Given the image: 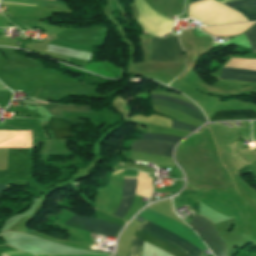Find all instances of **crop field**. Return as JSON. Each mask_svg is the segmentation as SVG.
I'll list each match as a JSON object with an SVG mask.
<instances>
[{"instance_id":"1","label":"crop field","mask_w":256,"mask_h":256,"mask_svg":"<svg viewBox=\"0 0 256 256\" xmlns=\"http://www.w3.org/2000/svg\"><path fill=\"white\" fill-rule=\"evenodd\" d=\"M137 231L146 234L152 238H155L172 248L182 252L186 256H200L203 252L197 249L196 247L192 246L185 240L181 239L177 235L155 225L152 223H149L145 221L138 229ZM135 231L133 234L134 236L150 243L153 244L167 253L171 254L172 256H184L182 253L172 249L171 247L155 240L152 239L146 235H143L139 232ZM132 237L131 243H130V248H129V253L127 256H140L141 255V250H142V244L143 241L136 238Z\"/></svg>"},{"instance_id":"2","label":"crop field","mask_w":256,"mask_h":256,"mask_svg":"<svg viewBox=\"0 0 256 256\" xmlns=\"http://www.w3.org/2000/svg\"><path fill=\"white\" fill-rule=\"evenodd\" d=\"M138 216L145 218L149 221H152L169 231L181 236L200 250L204 251L207 248L203 244V242L198 238V236L189 228L165 217L156 212H153L147 208H145Z\"/></svg>"},{"instance_id":"3","label":"crop field","mask_w":256,"mask_h":256,"mask_svg":"<svg viewBox=\"0 0 256 256\" xmlns=\"http://www.w3.org/2000/svg\"><path fill=\"white\" fill-rule=\"evenodd\" d=\"M189 224L202 237L215 256H226V245L212 223L204 217L194 215Z\"/></svg>"},{"instance_id":"4","label":"crop field","mask_w":256,"mask_h":256,"mask_svg":"<svg viewBox=\"0 0 256 256\" xmlns=\"http://www.w3.org/2000/svg\"><path fill=\"white\" fill-rule=\"evenodd\" d=\"M177 37V35H173L166 39L154 37L152 40L151 61L178 62L183 50Z\"/></svg>"},{"instance_id":"5","label":"crop field","mask_w":256,"mask_h":256,"mask_svg":"<svg viewBox=\"0 0 256 256\" xmlns=\"http://www.w3.org/2000/svg\"><path fill=\"white\" fill-rule=\"evenodd\" d=\"M65 224L87 231L101 233L113 237L115 236L117 230L122 227L95 218H82L76 215L70 218V220Z\"/></svg>"},{"instance_id":"6","label":"crop field","mask_w":256,"mask_h":256,"mask_svg":"<svg viewBox=\"0 0 256 256\" xmlns=\"http://www.w3.org/2000/svg\"><path fill=\"white\" fill-rule=\"evenodd\" d=\"M174 143L138 139L131 145L133 151L171 157V150Z\"/></svg>"},{"instance_id":"7","label":"crop field","mask_w":256,"mask_h":256,"mask_svg":"<svg viewBox=\"0 0 256 256\" xmlns=\"http://www.w3.org/2000/svg\"><path fill=\"white\" fill-rule=\"evenodd\" d=\"M48 127L54 132L55 138L70 137L75 124L64 119L50 117Z\"/></svg>"},{"instance_id":"8","label":"crop field","mask_w":256,"mask_h":256,"mask_svg":"<svg viewBox=\"0 0 256 256\" xmlns=\"http://www.w3.org/2000/svg\"><path fill=\"white\" fill-rule=\"evenodd\" d=\"M220 78L256 82V70L223 67Z\"/></svg>"},{"instance_id":"9","label":"crop field","mask_w":256,"mask_h":256,"mask_svg":"<svg viewBox=\"0 0 256 256\" xmlns=\"http://www.w3.org/2000/svg\"><path fill=\"white\" fill-rule=\"evenodd\" d=\"M256 113L252 110H233V111H216L211 120L219 119H237V118H255Z\"/></svg>"},{"instance_id":"10","label":"crop field","mask_w":256,"mask_h":256,"mask_svg":"<svg viewBox=\"0 0 256 256\" xmlns=\"http://www.w3.org/2000/svg\"><path fill=\"white\" fill-rule=\"evenodd\" d=\"M38 103V102H37ZM43 106L51 116L64 117L61 111H90L88 106H62V105H53V104H44L39 103Z\"/></svg>"},{"instance_id":"11","label":"crop field","mask_w":256,"mask_h":256,"mask_svg":"<svg viewBox=\"0 0 256 256\" xmlns=\"http://www.w3.org/2000/svg\"><path fill=\"white\" fill-rule=\"evenodd\" d=\"M232 8H241V7H256V0L254 1H241V2H228L224 3ZM243 13L250 21L256 20V8H241L236 9Z\"/></svg>"},{"instance_id":"12","label":"crop field","mask_w":256,"mask_h":256,"mask_svg":"<svg viewBox=\"0 0 256 256\" xmlns=\"http://www.w3.org/2000/svg\"><path fill=\"white\" fill-rule=\"evenodd\" d=\"M47 51L74 57V58H79L83 60L90 61L92 54L87 53V52H82L78 50H73V49H67V48H62V47H57V46H48Z\"/></svg>"},{"instance_id":"13","label":"crop field","mask_w":256,"mask_h":256,"mask_svg":"<svg viewBox=\"0 0 256 256\" xmlns=\"http://www.w3.org/2000/svg\"><path fill=\"white\" fill-rule=\"evenodd\" d=\"M151 102H152V105H159V106H163V107H166V108H170V109L182 112V113H184L186 115H189L191 117H194V118L202 121L203 123L206 122V119L203 115L195 113V112H193V111H191V110H189L185 107H181V106L171 104V103H168V102H164V101H160V100H151Z\"/></svg>"},{"instance_id":"14","label":"crop field","mask_w":256,"mask_h":256,"mask_svg":"<svg viewBox=\"0 0 256 256\" xmlns=\"http://www.w3.org/2000/svg\"><path fill=\"white\" fill-rule=\"evenodd\" d=\"M1 2L23 3V4H31V5H35V6H61V7H68V6H66V3L53 2V1H47V0H1Z\"/></svg>"},{"instance_id":"15","label":"crop field","mask_w":256,"mask_h":256,"mask_svg":"<svg viewBox=\"0 0 256 256\" xmlns=\"http://www.w3.org/2000/svg\"><path fill=\"white\" fill-rule=\"evenodd\" d=\"M136 178V177H124ZM136 187V179H124L122 198L134 195Z\"/></svg>"},{"instance_id":"16","label":"crop field","mask_w":256,"mask_h":256,"mask_svg":"<svg viewBox=\"0 0 256 256\" xmlns=\"http://www.w3.org/2000/svg\"><path fill=\"white\" fill-rule=\"evenodd\" d=\"M133 197L134 196L122 199L120 205L118 206V208L114 213V216L122 218L123 215L127 212L128 208L130 207L133 201Z\"/></svg>"},{"instance_id":"17","label":"crop field","mask_w":256,"mask_h":256,"mask_svg":"<svg viewBox=\"0 0 256 256\" xmlns=\"http://www.w3.org/2000/svg\"><path fill=\"white\" fill-rule=\"evenodd\" d=\"M141 137L148 138V139L163 140V141L174 142V143H177L182 140V138L169 136V135H159V134H141Z\"/></svg>"},{"instance_id":"18","label":"crop field","mask_w":256,"mask_h":256,"mask_svg":"<svg viewBox=\"0 0 256 256\" xmlns=\"http://www.w3.org/2000/svg\"><path fill=\"white\" fill-rule=\"evenodd\" d=\"M245 37L249 41L251 51L256 52V25L253 26L250 30L244 33Z\"/></svg>"},{"instance_id":"19","label":"crop field","mask_w":256,"mask_h":256,"mask_svg":"<svg viewBox=\"0 0 256 256\" xmlns=\"http://www.w3.org/2000/svg\"><path fill=\"white\" fill-rule=\"evenodd\" d=\"M151 99H161V100L170 101V102H173V103H176V104H179V105L186 106V107L198 112V110L195 107H193V106H191V105H189V104H187V103H185L181 100H178V99H174V98H170V97H166V96H159V95H151Z\"/></svg>"},{"instance_id":"20","label":"crop field","mask_w":256,"mask_h":256,"mask_svg":"<svg viewBox=\"0 0 256 256\" xmlns=\"http://www.w3.org/2000/svg\"><path fill=\"white\" fill-rule=\"evenodd\" d=\"M172 128L182 129L189 132H192L193 130L196 129V127H193L184 123L176 122V121H172Z\"/></svg>"},{"instance_id":"21","label":"crop field","mask_w":256,"mask_h":256,"mask_svg":"<svg viewBox=\"0 0 256 256\" xmlns=\"http://www.w3.org/2000/svg\"><path fill=\"white\" fill-rule=\"evenodd\" d=\"M37 256H100V255H37Z\"/></svg>"},{"instance_id":"22","label":"crop field","mask_w":256,"mask_h":256,"mask_svg":"<svg viewBox=\"0 0 256 256\" xmlns=\"http://www.w3.org/2000/svg\"><path fill=\"white\" fill-rule=\"evenodd\" d=\"M6 187H7V185H0V196L3 194Z\"/></svg>"},{"instance_id":"23","label":"crop field","mask_w":256,"mask_h":256,"mask_svg":"<svg viewBox=\"0 0 256 256\" xmlns=\"http://www.w3.org/2000/svg\"><path fill=\"white\" fill-rule=\"evenodd\" d=\"M0 91L10 92V91L7 90L1 83H0Z\"/></svg>"},{"instance_id":"24","label":"crop field","mask_w":256,"mask_h":256,"mask_svg":"<svg viewBox=\"0 0 256 256\" xmlns=\"http://www.w3.org/2000/svg\"><path fill=\"white\" fill-rule=\"evenodd\" d=\"M203 1H215V0H191V2H203Z\"/></svg>"}]
</instances>
